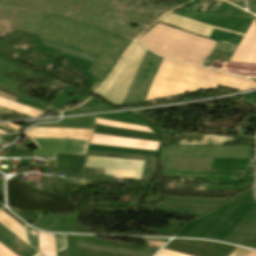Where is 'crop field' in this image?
Here are the masks:
<instances>
[{
	"mask_svg": "<svg viewBox=\"0 0 256 256\" xmlns=\"http://www.w3.org/2000/svg\"><path fill=\"white\" fill-rule=\"evenodd\" d=\"M219 85L246 90L256 87V82L164 58L146 101L155 97L179 94L200 88H217Z\"/></svg>",
	"mask_w": 256,
	"mask_h": 256,
	"instance_id": "crop-field-1",
	"label": "crop field"
},
{
	"mask_svg": "<svg viewBox=\"0 0 256 256\" xmlns=\"http://www.w3.org/2000/svg\"><path fill=\"white\" fill-rule=\"evenodd\" d=\"M137 41L167 58L202 65L215 42L178 31L161 24L155 25Z\"/></svg>",
	"mask_w": 256,
	"mask_h": 256,
	"instance_id": "crop-field-2",
	"label": "crop field"
},
{
	"mask_svg": "<svg viewBox=\"0 0 256 256\" xmlns=\"http://www.w3.org/2000/svg\"><path fill=\"white\" fill-rule=\"evenodd\" d=\"M146 48L132 44L107 82L97 92L113 103L121 104L135 76Z\"/></svg>",
	"mask_w": 256,
	"mask_h": 256,
	"instance_id": "crop-field-3",
	"label": "crop field"
},
{
	"mask_svg": "<svg viewBox=\"0 0 256 256\" xmlns=\"http://www.w3.org/2000/svg\"><path fill=\"white\" fill-rule=\"evenodd\" d=\"M144 161L87 157L84 167L104 168V174L116 178H141Z\"/></svg>",
	"mask_w": 256,
	"mask_h": 256,
	"instance_id": "crop-field-4",
	"label": "crop field"
},
{
	"mask_svg": "<svg viewBox=\"0 0 256 256\" xmlns=\"http://www.w3.org/2000/svg\"><path fill=\"white\" fill-rule=\"evenodd\" d=\"M40 150H33V155H56V153L86 155L89 141L67 139L29 138ZM56 157V156H33Z\"/></svg>",
	"mask_w": 256,
	"mask_h": 256,
	"instance_id": "crop-field-5",
	"label": "crop field"
},
{
	"mask_svg": "<svg viewBox=\"0 0 256 256\" xmlns=\"http://www.w3.org/2000/svg\"><path fill=\"white\" fill-rule=\"evenodd\" d=\"M169 145H253V139L247 137H216L195 134H179Z\"/></svg>",
	"mask_w": 256,
	"mask_h": 256,
	"instance_id": "crop-field-6",
	"label": "crop field"
},
{
	"mask_svg": "<svg viewBox=\"0 0 256 256\" xmlns=\"http://www.w3.org/2000/svg\"><path fill=\"white\" fill-rule=\"evenodd\" d=\"M163 174L171 176H182V177H198L208 178L210 181H235L239 180L234 176L245 175V171L238 172H227V173H213V172H185L177 170L164 169Z\"/></svg>",
	"mask_w": 256,
	"mask_h": 256,
	"instance_id": "crop-field-7",
	"label": "crop field"
},
{
	"mask_svg": "<svg viewBox=\"0 0 256 256\" xmlns=\"http://www.w3.org/2000/svg\"><path fill=\"white\" fill-rule=\"evenodd\" d=\"M251 164V158L242 159H228V158H214L213 168L216 171L224 170H245Z\"/></svg>",
	"mask_w": 256,
	"mask_h": 256,
	"instance_id": "crop-field-8",
	"label": "crop field"
},
{
	"mask_svg": "<svg viewBox=\"0 0 256 256\" xmlns=\"http://www.w3.org/2000/svg\"><path fill=\"white\" fill-rule=\"evenodd\" d=\"M0 222L27 243L25 227L20 225L2 210H0Z\"/></svg>",
	"mask_w": 256,
	"mask_h": 256,
	"instance_id": "crop-field-9",
	"label": "crop field"
},
{
	"mask_svg": "<svg viewBox=\"0 0 256 256\" xmlns=\"http://www.w3.org/2000/svg\"><path fill=\"white\" fill-rule=\"evenodd\" d=\"M40 253L44 256H56L53 235L38 232Z\"/></svg>",
	"mask_w": 256,
	"mask_h": 256,
	"instance_id": "crop-field-10",
	"label": "crop field"
},
{
	"mask_svg": "<svg viewBox=\"0 0 256 256\" xmlns=\"http://www.w3.org/2000/svg\"><path fill=\"white\" fill-rule=\"evenodd\" d=\"M93 130H77L62 128H31L26 132L29 133H46V134H83L91 135Z\"/></svg>",
	"mask_w": 256,
	"mask_h": 256,
	"instance_id": "crop-field-11",
	"label": "crop field"
},
{
	"mask_svg": "<svg viewBox=\"0 0 256 256\" xmlns=\"http://www.w3.org/2000/svg\"><path fill=\"white\" fill-rule=\"evenodd\" d=\"M95 123L109 125V126H113V127H119V128H125V129L138 130V131H144V132L152 133L151 131L148 130V128H145V127L123 124V123H117V122H111V121L102 120V119H98V118H96Z\"/></svg>",
	"mask_w": 256,
	"mask_h": 256,
	"instance_id": "crop-field-12",
	"label": "crop field"
},
{
	"mask_svg": "<svg viewBox=\"0 0 256 256\" xmlns=\"http://www.w3.org/2000/svg\"><path fill=\"white\" fill-rule=\"evenodd\" d=\"M30 137H52V138H71V139H89L90 136L81 135H45V134H25Z\"/></svg>",
	"mask_w": 256,
	"mask_h": 256,
	"instance_id": "crop-field-13",
	"label": "crop field"
},
{
	"mask_svg": "<svg viewBox=\"0 0 256 256\" xmlns=\"http://www.w3.org/2000/svg\"><path fill=\"white\" fill-rule=\"evenodd\" d=\"M27 230H28L30 245L39 251L37 232L28 227H27Z\"/></svg>",
	"mask_w": 256,
	"mask_h": 256,
	"instance_id": "crop-field-14",
	"label": "crop field"
},
{
	"mask_svg": "<svg viewBox=\"0 0 256 256\" xmlns=\"http://www.w3.org/2000/svg\"><path fill=\"white\" fill-rule=\"evenodd\" d=\"M57 252L66 248L65 235H54Z\"/></svg>",
	"mask_w": 256,
	"mask_h": 256,
	"instance_id": "crop-field-15",
	"label": "crop field"
},
{
	"mask_svg": "<svg viewBox=\"0 0 256 256\" xmlns=\"http://www.w3.org/2000/svg\"><path fill=\"white\" fill-rule=\"evenodd\" d=\"M250 252H251V250H247V249L237 247L229 256H246ZM247 256H256V252L253 251Z\"/></svg>",
	"mask_w": 256,
	"mask_h": 256,
	"instance_id": "crop-field-16",
	"label": "crop field"
},
{
	"mask_svg": "<svg viewBox=\"0 0 256 256\" xmlns=\"http://www.w3.org/2000/svg\"><path fill=\"white\" fill-rule=\"evenodd\" d=\"M156 256H188L181 253L169 251V250H161Z\"/></svg>",
	"mask_w": 256,
	"mask_h": 256,
	"instance_id": "crop-field-17",
	"label": "crop field"
},
{
	"mask_svg": "<svg viewBox=\"0 0 256 256\" xmlns=\"http://www.w3.org/2000/svg\"><path fill=\"white\" fill-rule=\"evenodd\" d=\"M244 100L250 103H254L256 106V92L251 94H246L241 96Z\"/></svg>",
	"mask_w": 256,
	"mask_h": 256,
	"instance_id": "crop-field-18",
	"label": "crop field"
},
{
	"mask_svg": "<svg viewBox=\"0 0 256 256\" xmlns=\"http://www.w3.org/2000/svg\"><path fill=\"white\" fill-rule=\"evenodd\" d=\"M0 111L3 112V113H6V114L14 112V111L8 110V109L3 108V107H0Z\"/></svg>",
	"mask_w": 256,
	"mask_h": 256,
	"instance_id": "crop-field-19",
	"label": "crop field"
},
{
	"mask_svg": "<svg viewBox=\"0 0 256 256\" xmlns=\"http://www.w3.org/2000/svg\"><path fill=\"white\" fill-rule=\"evenodd\" d=\"M5 125L10 126V127L14 128V129H16V130H18V129L21 128V127H18V126H16V125H13V124H11V123H6Z\"/></svg>",
	"mask_w": 256,
	"mask_h": 256,
	"instance_id": "crop-field-20",
	"label": "crop field"
},
{
	"mask_svg": "<svg viewBox=\"0 0 256 256\" xmlns=\"http://www.w3.org/2000/svg\"><path fill=\"white\" fill-rule=\"evenodd\" d=\"M0 126H1V127H4V128H7V129H9V130H11V131H13V132H17V131H15V130H13V129L7 127V126H4V125H2V124H0Z\"/></svg>",
	"mask_w": 256,
	"mask_h": 256,
	"instance_id": "crop-field-21",
	"label": "crop field"
},
{
	"mask_svg": "<svg viewBox=\"0 0 256 256\" xmlns=\"http://www.w3.org/2000/svg\"><path fill=\"white\" fill-rule=\"evenodd\" d=\"M34 256H42V255H40L39 253H37L36 255H34Z\"/></svg>",
	"mask_w": 256,
	"mask_h": 256,
	"instance_id": "crop-field-22",
	"label": "crop field"
}]
</instances>
